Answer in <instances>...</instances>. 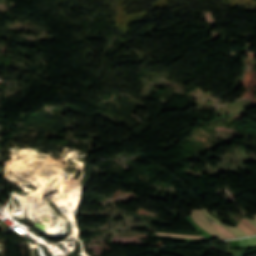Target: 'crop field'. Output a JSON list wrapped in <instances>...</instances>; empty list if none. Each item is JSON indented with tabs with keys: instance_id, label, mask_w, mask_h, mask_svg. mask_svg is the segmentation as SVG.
<instances>
[{
	"instance_id": "f4fd0767",
	"label": "crop field",
	"mask_w": 256,
	"mask_h": 256,
	"mask_svg": "<svg viewBox=\"0 0 256 256\" xmlns=\"http://www.w3.org/2000/svg\"><path fill=\"white\" fill-rule=\"evenodd\" d=\"M238 227L241 228L243 231H245L248 235L256 234L254 231H252L250 228H248L246 225H244L242 222L238 224Z\"/></svg>"
},
{
	"instance_id": "ac0d7876",
	"label": "crop field",
	"mask_w": 256,
	"mask_h": 256,
	"mask_svg": "<svg viewBox=\"0 0 256 256\" xmlns=\"http://www.w3.org/2000/svg\"><path fill=\"white\" fill-rule=\"evenodd\" d=\"M240 248L244 247H256V237L249 239L239 240Z\"/></svg>"
},
{
	"instance_id": "3316defc",
	"label": "crop field",
	"mask_w": 256,
	"mask_h": 256,
	"mask_svg": "<svg viewBox=\"0 0 256 256\" xmlns=\"http://www.w3.org/2000/svg\"><path fill=\"white\" fill-rule=\"evenodd\" d=\"M251 224H253L256 227V222L254 220H250L248 218H246Z\"/></svg>"
},
{
	"instance_id": "dd49c442",
	"label": "crop field",
	"mask_w": 256,
	"mask_h": 256,
	"mask_svg": "<svg viewBox=\"0 0 256 256\" xmlns=\"http://www.w3.org/2000/svg\"><path fill=\"white\" fill-rule=\"evenodd\" d=\"M192 214H193L194 216H197V217L206 219L205 216H204V214H203V212H202V210H193V211H192Z\"/></svg>"
},
{
	"instance_id": "8a807250",
	"label": "crop field",
	"mask_w": 256,
	"mask_h": 256,
	"mask_svg": "<svg viewBox=\"0 0 256 256\" xmlns=\"http://www.w3.org/2000/svg\"><path fill=\"white\" fill-rule=\"evenodd\" d=\"M192 219L204 230H206L208 233H210L212 236L218 238V239H223L225 238L223 235H221L218 231H216L208 221L191 216Z\"/></svg>"
},
{
	"instance_id": "34b2d1b8",
	"label": "crop field",
	"mask_w": 256,
	"mask_h": 256,
	"mask_svg": "<svg viewBox=\"0 0 256 256\" xmlns=\"http://www.w3.org/2000/svg\"><path fill=\"white\" fill-rule=\"evenodd\" d=\"M218 231H220L223 235H225L227 238H234L235 236H233L230 232H228L227 230H225L223 227L215 225L213 223H211Z\"/></svg>"
},
{
	"instance_id": "412701ff",
	"label": "crop field",
	"mask_w": 256,
	"mask_h": 256,
	"mask_svg": "<svg viewBox=\"0 0 256 256\" xmlns=\"http://www.w3.org/2000/svg\"><path fill=\"white\" fill-rule=\"evenodd\" d=\"M225 228L237 237H245L246 236L245 233H243L242 231H240L237 228H227V227H225Z\"/></svg>"
},
{
	"instance_id": "5a996713",
	"label": "crop field",
	"mask_w": 256,
	"mask_h": 256,
	"mask_svg": "<svg viewBox=\"0 0 256 256\" xmlns=\"http://www.w3.org/2000/svg\"><path fill=\"white\" fill-rule=\"evenodd\" d=\"M242 222H244L246 225H248L250 228H252L256 232V228L251 225L245 218L241 219Z\"/></svg>"
},
{
	"instance_id": "d8731c3e",
	"label": "crop field",
	"mask_w": 256,
	"mask_h": 256,
	"mask_svg": "<svg viewBox=\"0 0 256 256\" xmlns=\"http://www.w3.org/2000/svg\"><path fill=\"white\" fill-rule=\"evenodd\" d=\"M202 210H203L204 214H205L206 216H208L210 219H212L213 221H215V222L218 223V224H222L221 222H219L218 220H216L214 217H212V216L206 211V209H202ZM222 225H224V224H222Z\"/></svg>"
},
{
	"instance_id": "e52e79f7",
	"label": "crop field",
	"mask_w": 256,
	"mask_h": 256,
	"mask_svg": "<svg viewBox=\"0 0 256 256\" xmlns=\"http://www.w3.org/2000/svg\"><path fill=\"white\" fill-rule=\"evenodd\" d=\"M160 235H170V236H179V237H187V238H202V239H206L204 237H197V236H185V235H172V234H161V233H157Z\"/></svg>"
},
{
	"instance_id": "28ad6ade",
	"label": "crop field",
	"mask_w": 256,
	"mask_h": 256,
	"mask_svg": "<svg viewBox=\"0 0 256 256\" xmlns=\"http://www.w3.org/2000/svg\"><path fill=\"white\" fill-rule=\"evenodd\" d=\"M253 219L256 221V215L253 216Z\"/></svg>"
}]
</instances>
